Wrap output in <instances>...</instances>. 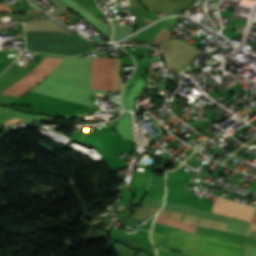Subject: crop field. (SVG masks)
I'll list each match as a JSON object with an SVG mask.
<instances>
[{
	"mask_svg": "<svg viewBox=\"0 0 256 256\" xmlns=\"http://www.w3.org/2000/svg\"><path fill=\"white\" fill-rule=\"evenodd\" d=\"M248 235H249V236L256 237V231L250 230Z\"/></svg>",
	"mask_w": 256,
	"mask_h": 256,
	"instance_id": "6",
	"label": "crop field"
},
{
	"mask_svg": "<svg viewBox=\"0 0 256 256\" xmlns=\"http://www.w3.org/2000/svg\"><path fill=\"white\" fill-rule=\"evenodd\" d=\"M185 223L222 229V230L239 233V234H244V235H246L247 231H248V229H246V228L217 223V222H213V221H209V220H205V219H201V218H197V217H193V216H189V215L187 216Z\"/></svg>",
	"mask_w": 256,
	"mask_h": 256,
	"instance_id": "3",
	"label": "crop field"
},
{
	"mask_svg": "<svg viewBox=\"0 0 256 256\" xmlns=\"http://www.w3.org/2000/svg\"><path fill=\"white\" fill-rule=\"evenodd\" d=\"M155 222H159V223L166 224V225H169V226H173V227H176V228H182V229H185V230L190 231V232H192V230L194 228L193 225H189V224L169 220V219L158 217V216L156 217Z\"/></svg>",
	"mask_w": 256,
	"mask_h": 256,
	"instance_id": "4",
	"label": "crop field"
},
{
	"mask_svg": "<svg viewBox=\"0 0 256 256\" xmlns=\"http://www.w3.org/2000/svg\"><path fill=\"white\" fill-rule=\"evenodd\" d=\"M113 58H88L89 87L112 91Z\"/></svg>",
	"mask_w": 256,
	"mask_h": 256,
	"instance_id": "2",
	"label": "crop field"
},
{
	"mask_svg": "<svg viewBox=\"0 0 256 256\" xmlns=\"http://www.w3.org/2000/svg\"><path fill=\"white\" fill-rule=\"evenodd\" d=\"M50 57L66 58L62 56L50 55ZM47 57L42 63L16 83L3 95L19 96L41 82L51 71H53L64 59Z\"/></svg>",
	"mask_w": 256,
	"mask_h": 256,
	"instance_id": "1",
	"label": "crop field"
},
{
	"mask_svg": "<svg viewBox=\"0 0 256 256\" xmlns=\"http://www.w3.org/2000/svg\"><path fill=\"white\" fill-rule=\"evenodd\" d=\"M252 222L256 223V217L255 216L253 217V221Z\"/></svg>",
	"mask_w": 256,
	"mask_h": 256,
	"instance_id": "8",
	"label": "crop field"
},
{
	"mask_svg": "<svg viewBox=\"0 0 256 256\" xmlns=\"http://www.w3.org/2000/svg\"><path fill=\"white\" fill-rule=\"evenodd\" d=\"M252 230H256V224L252 223L251 228Z\"/></svg>",
	"mask_w": 256,
	"mask_h": 256,
	"instance_id": "7",
	"label": "crop field"
},
{
	"mask_svg": "<svg viewBox=\"0 0 256 256\" xmlns=\"http://www.w3.org/2000/svg\"><path fill=\"white\" fill-rule=\"evenodd\" d=\"M254 215H256V210H255V214Z\"/></svg>",
	"mask_w": 256,
	"mask_h": 256,
	"instance_id": "9",
	"label": "crop field"
},
{
	"mask_svg": "<svg viewBox=\"0 0 256 256\" xmlns=\"http://www.w3.org/2000/svg\"><path fill=\"white\" fill-rule=\"evenodd\" d=\"M0 12H10L7 3H1L0 4Z\"/></svg>",
	"mask_w": 256,
	"mask_h": 256,
	"instance_id": "5",
	"label": "crop field"
}]
</instances>
